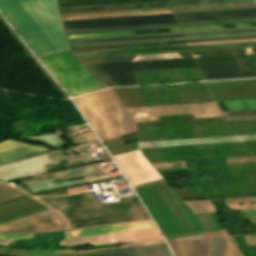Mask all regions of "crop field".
Segmentation results:
<instances>
[{
  "label": "crop field",
  "instance_id": "obj_13",
  "mask_svg": "<svg viewBox=\"0 0 256 256\" xmlns=\"http://www.w3.org/2000/svg\"><path fill=\"white\" fill-rule=\"evenodd\" d=\"M178 21L256 17V8L174 13Z\"/></svg>",
  "mask_w": 256,
  "mask_h": 256
},
{
  "label": "crop field",
  "instance_id": "obj_2",
  "mask_svg": "<svg viewBox=\"0 0 256 256\" xmlns=\"http://www.w3.org/2000/svg\"><path fill=\"white\" fill-rule=\"evenodd\" d=\"M67 219L70 228L150 219L136 196L128 201L97 205L90 192L71 196L38 198Z\"/></svg>",
  "mask_w": 256,
  "mask_h": 256
},
{
  "label": "crop field",
  "instance_id": "obj_29",
  "mask_svg": "<svg viewBox=\"0 0 256 256\" xmlns=\"http://www.w3.org/2000/svg\"><path fill=\"white\" fill-rule=\"evenodd\" d=\"M256 196V192L226 194V198ZM184 201L209 199L207 195L181 197Z\"/></svg>",
  "mask_w": 256,
  "mask_h": 256
},
{
  "label": "crop field",
  "instance_id": "obj_30",
  "mask_svg": "<svg viewBox=\"0 0 256 256\" xmlns=\"http://www.w3.org/2000/svg\"><path fill=\"white\" fill-rule=\"evenodd\" d=\"M171 24H177V22L160 23V24H147V25L103 27V28L73 29V30H66V31H67V32H73V31H87V30H101V29H115V28H129V27H143V26H157V25H171Z\"/></svg>",
  "mask_w": 256,
  "mask_h": 256
},
{
  "label": "crop field",
  "instance_id": "obj_45",
  "mask_svg": "<svg viewBox=\"0 0 256 256\" xmlns=\"http://www.w3.org/2000/svg\"><path fill=\"white\" fill-rule=\"evenodd\" d=\"M250 28H256V27L227 28V29H209V30H191V31H183V32L184 33H191V32L221 31V30L250 29Z\"/></svg>",
  "mask_w": 256,
  "mask_h": 256
},
{
  "label": "crop field",
  "instance_id": "obj_9",
  "mask_svg": "<svg viewBox=\"0 0 256 256\" xmlns=\"http://www.w3.org/2000/svg\"><path fill=\"white\" fill-rule=\"evenodd\" d=\"M98 172L99 171L96 165H88V166L65 171L62 175L51 176L44 180L24 179L22 181L25 184H27L30 187L33 194H35L39 192H44V191H49V190L112 178L107 174L98 175V176H95L93 174ZM76 177H83V179L55 182V180H59V179L76 178Z\"/></svg>",
  "mask_w": 256,
  "mask_h": 256
},
{
  "label": "crop field",
  "instance_id": "obj_8",
  "mask_svg": "<svg viewBox=\"0 0 256 256\" xmlns=\"http://www.w3.org/2000/svg\"><path fill=\"white\" fill-rule=\"evenodd\" d=\"M249 54L195 58L205 80L256 77V62Z\"/></svg>",
  "mask_w": 256,
  "mask_h": 256
},
{
  "label": "crop field",
  "instance_id": "obj_31",
  "mask_svg": "<svg viewBox=\"0 0 256 256\" xmlns=\"http://www.w3.org/2000/svg\"><path fill=\"white\" fill-rule=\"evenodd\" d=\"M244 26H256V23L232 24V25H217V26H203V27H188V28H182V30L209 29V28H226V27H244Z\"/></svg>",
  "mask_w": 256,
  "mask_h": 256
},
{
  "label": "crop field",
  "instance_id": "obj_25",
  "mask_svg": "<svg viewBox=\"0 0 256 256\" xmlns=\"http://www.w3.org/2000/svg\"><path fill=\"white\" fill-rule=\"evenodd\" d=\"M256 4L255 1H248V2H234V3H220V4H206V5H192V6H178L172 7L173 10H180V9H194V8H208V7H222V6H236V5H250Z\"/></svg>",
  "mask_w": 256,
  "mask_h": 256
},
{
  "label": "crop field",
  "instance_id": "obj_38",
  "mask_svg": "<svg viewBox=\"0 0 256 256\" xmlns=\"http://www.w3.org/2000/svg\"><path fill=\"white\" fill-rule=\"evenodd\" d=\"M253 34H256V32H251V33H236V34H222V35H207V36H192V37H186V39L209 38V37H224V36H238V35H253Z\"/></svg>",
  "mask_w": 256,
  "mask_h": 256
},
{
  "label": "crop field",
  "instance_id": "obj_46",
  "mask_svg": "<svg viewBox=\"0 0 256 256\" xmlns=\"http://www.w3.org/2000/svg\"><path fill=\"white\" fill-rule=\"evenodd\" d=\"M224 118H225V120L250 119V118H256V115L231 116V117H224Z\"/></svg>",
  "mask_w": 256,
  "mask_h": 256
},
{
  "label": "crop field",
  "instance_id": "obj_43",
  "mask_svg": "<svg viewBox=\"0 0 256 256\" xmlns=\"http://www.w3.org/2000/svg\"><path fill=\"white\" fill-rule=\"evenodd\" d=\"M251 7H256V5H250V6H236V7H222V8H208V9H194V10H180V11H173V12L199 11V10H216V9H234V8H251Z\"/></svg>",
  "mask_w": 256,
  "mask_h": 256
},
{
  "label": "crop field",
  "instance_id": "obj_7",
  "mask_svg": "<svg viewBox=\"0 0 256 256\" xmlns=\"http://www.w3.org/2000/svg\"><path fill=\"white\" fill-rule=\"evenodd\" d=\"M110 86L137 85L133 71L197 67L193 58L86 65Z\"/></svg>",
  "mask_w": 256,
  "mask_h": 256
},
{
  "label": "crop field",
  "instance_id": "obj_33",
  "mask_svg": "<svg viewBox=\"0 0 256 256\" xmlns=\"http://www.w3.org/2000/svg\"><path fill=\"white\" fill-rule=\"evenodd\" d=\"M186 41H177V42H161V43H145V44H129V45H112V46H96V47H80V48H72L73 50L80 49H94V48H108V47H122V46H137V45H151V44H165V43H179Z\"/></svg>",
  "mask_w": 256,
  "mask_h": 256
},
{
  "label": "crop field",
  "instance_id": "obj_16",
  "mask_svg": "<svg viewBox=\"0 0 256 256\" xmlns=\"http://www.w3.org/2000/svg\"><path fill=\"white\" fill-rule=\"evenodd\" d=\"M185 57H192L191 53L190 52H182V53H166V54L86 58V59H79V60L82 61L84 64H92V63H108V62L154 60V59H169V58H185Z\"/></svg>",
  "mask_w": 256,
  "mask_h": 256
},
{
  "label": "crop field",
  "instance_id": "obj_20",
  "mask_svg": "<svg viewBox=\"0 0 256 256\" xmlns=\"http://www.w3.org/2000/svg\"><path fill=\"white\" fill-rule=\"evenodd\" d=\"M185 40L184 37L71 44L72 47Z\"/></svg>",
  "mask_w": 256,
  "mask_h": 256
},
{
  "label": "crop field",
  "instance_id": "obj_17",
  "mask_svg": "<svg viewBox=\"0 0 256 256\" xmlns=\"http://www.w3.org/2000/svg\"><path fill=\"white\" fill-rule=\"evenodd\" d=\"M169 6L167 1L60 8L61 13Z\"/></svg>",
  "mask_w": 256,
  "mask_h": 256
},
{
  "label": "crop field",
  "instance_id": "obj_42",
  "mask_svg": "<svg viewBox=\"0 0 256 256\" xmlns=\"http://www.w3.org/2000/svg\"><path fill=\"white\" fill-rule=\"evenodd\" d=\"M222 114L223 116L256 114V110L228 111V112H222Z\"/></svg>",
  "mask_w": 256,
  "mask_h": 256
},
{
  "label": "crop field",
  "instance_id": "obj_37",
  "mask_svg": "<svg viewBox=\"0 0 256 256\" xmlns=\"http://www.w3.org/2000/svg\"><path fill=\"white\" fill-rule=\"evenodd\" d=\"M246 22H256V20L231 21V22H216V23H201V24H187V25H180V26H181V27H188V26L217 25V24H232V23H246Z\"/></svg>",
  "mask_w": 256,
  "mask_h": 256
},
{
  "label": "crop field",
  "instance_id": "obj_14",
  "mask_svg": "<svg viewBox=\"0 0 256 256\" xmlns=\"http://www.w3.org/2000/svg\"><path fill=\"white\" fill-rule=\"evenodd\" d=\"M45 151L48 149L41 146L18 143L10 139L4 140L0 142V164Z\"/></svg>",
  "mask_w": 256,
  "mask_h": 256
},
{
  "label": "crop field",
  "instance_id": "obj_23",
  "mask_svg": "<svg viewBox=\"0 0 256 256\" xmlns=\"http://www.w3.org/2000/svg\"><path fill=\"white\" fill-rule=\"evenodd\" d=\"M192 53H193L194 57L214 56V55H228V54H242V53H256V48L199 51V52H192Z\"/></svg>",
  "mask_w": 256,
  "mask_h": 256
},
{
  "label": "crop field",
  "instance_id": "obj_12",
  "mask_svg": "<svg viewBox=\"0 0 256 256\" xmlns=\"http://www.w3.org/2000/svg\"><path fill=\"white\" fill-rule=\"evenodd\" d=\"M176 256H207L211 247L207 234L168 240Z\"/></svg>",
  "mask_w": 256,
  "mask_h": 256
},
{
  "label": "crop field",
  "instance_id": "obj_32",
  "mask_svg": "<svg viewBox=\"0 0 256 256\" xmlns=\"http://www.w3.org/2000/svg\"><path fill=\"white\" fill-rule=\"evenodd\" d=\"M180 48H188L187 46L180 47H166V48H152V49H138V50H123V51H109V52H95V53H81L74 55H83V54H99V53H115V52H132V51H148V50H164V49H180Z\"/></svg>",
  "mask_w": 256,
  "mask_h": 256
},
{
  "label": "crop field",
  "instance_id": "obj_41",
  "mask_svg": "<svg viewBox=\"0 0 256 256\" xmlns=\"http://www.w3.org/2000/svg\"><path fill=\"white\" fill-rule=\"evenodd\" d=\"M243 44H256V42L226 43V44H211V45H196V46H189V47H190V48H197V47H213V46H228V45H243Z\"/></svg>",
  "mask_w": 256,
  "mask_h": 256
},
{
  "label": "crop field",
  "instance_id": "obj_36",
  "mask_svg": "<svg viewBox=\"0 0 256 256\" xmlns=\"http://www.w3.org/2000/svg\"><path fill=\"white\" fill-rule=\"evenodd\" d=\"M172 27H179V26L178 25H172V26H158V27H144V28H130V29H116V30H102V31H88V32H74V33H67V34L108 32V31H124V30H140V29H156V28H172Z\"/></svg>",
  "mask_w": 256,
  "mask_h": 256
},
{
  "label": "crop field",
  "instance_id": "obj_15",
  "mask_svg": "<svg viewBox=\"0 0 256 256\" xmlns=\"http://www.w3.org/2000/svg\"><path fill=\"white\" fill-rule=\"evenodd\" d=\"M166 243L101 251L102 256H172Z\"/></svg>",
  "mask_w": 256,
  "mask_h": 256
},
{
  "label": "crop field",
  "instance_id": "obj_26",
  "mask_svg": "<svg viewBox=\"0 0 256 256\" xmlns=\"http://www.w3.org/2000/svg\"><path fill=\"white\" fill-rule=\"evenodd\" d=\"M206 230L222 229L214 213L198 214Z\"/></svg>",
  "mask_w": 256,
  "mask_h": 256
},
{
  "label": "crop field",
  "instance_id": "obj_28",
  "mask_svg": "<svg viewBox=\"0 0 256 256\" xmlns=\"http://www.w3.org/2000/svg\"><path fill=\"white\" fill-rule=\"evenodd\" d=\"M233 1H247V0H175V1H169V2L171 6H177V5H191V4L233 2Z\"/></svg>",
  "mask_w": 256,
  "mask_h": 256
},
{
  "label": "crop field",
  "instance_id": "obj_6",
  "mask_svg": "<svg viewBox=\"0 0 256 256\" xmlns=\"http://www.w3.org/2000/svg\"><path fill=\"white\" fill-rule=\"evenodd\" d=\"M40 59L70 96L109 87L76 60L70 49L40 57Z\"/></svg>",
  "mask_w": 256,
  "mask_h": 256
},
{
  "label": "crop field",
  "instance_id": "obj_24",
  "mask_svg": "<svg viewBox=\"0 0 256 256\" xmlns=\"http://www.w3.org/2000/svg\"><path fill=\"white\" fill-rule=\"evenodd\" d=\"M26 195L25 193L0 182V203Z\"/></svg>",
  "mask_w": 256,
  "mask_h": 256
},
{
  "label": "crop field",
  "instance_id": "obj_3",
  "mask_svg": "<svg viewBox=\"0 0 256 256\" xmlns=\"http://www.w3.org/2000/svg\"><path fill=\"white\" fill-rule=\"evenodd\" d=\"M134 188L166 239L205 233L197 215L162 179Z\"/></svg>",
  "mask_w": 256,
  "mask_h": 256
},
{
  "label": "crop field",
  "instance_id": "obj_27",
  "mask_svg": "<svg viewBox=\"0 0 256 256\" xmlns=\"http://www.w3.org/2000/svg\"><path fill=\"white\" fill-rule=\"evenodd\" d=\"M213 247L209 253V256H223L226 241L225 237L210 238Z\"/></svg>",
  "mask_w": 256,
  "mask_h": 256
},
{
  "label": "crop field",
  "instance_id": "obj_40",
  "mask_svg": "<svg viewBox=\"0 0 256 256\" xmlns=\"http://www.w3.org/2000/svg\"><path fill=\"white\" fill-rule=\"evenodd\" d=\"M256 35L253 36H238V37H224V38H209V39H194V40H187L188 42H195V41H210V40H225V39H240V38H255Z\"/></svg>",
  "mask_w": 256,
  "mask_h": 256
},
{
  "label": "crop field",
  "instance_id": "obj_18",
  "mask_svg": "<svg viewBox=\"0 0 256 256\" xmlns=\"http://www.w3.org/2000/svg\"><path fill=\"white\" fill-rule=\"evenodd\" d=\"M144 1H160V0H59V5L60 7H67V6H83V5L129 3V2H144Z\"/></svg>",
  "mask_w": 256,
  "mask_h": 256
},
{
  "label": "crop field",
  "instance_id": "obj_10",
  "mask_svg": "<svg viewBox=\"0 0 256 256\" xmlns=\"http://www.w3.org/2000/svg\"><path fill=\"white\" fill-rule=\"evenodd\" d=\"M170 21H176L173 14L70 20V21H63V22L66 29H72V28L142 24V23H156V22H170Z\"/></svg>",
  "mask_w": 256,
  "mask_h": 256
},
{
  "label": "crop field",
  "instance_id": "obj_44",
  "mask_svg": "<svg viewBox=\"0 0 256 256\" xmlns=\"http://www.w3.org/2000/svg\"><path fill=\"white\" fill-rule=\"evenodd\" d=\"M245 19H256V18H239V19H222V20H204V21H186V22H179V24L201 23V22H216V21H230V20H245Z\"/></svg>",
  "mask_w": 256,
  "mask_h": 256
},
{
  "label": "crop field",
  "instance_id": "obj_39",
  "mask_svg": "<svg viewBox=\"0 0 256 256\" xmlns=\"http://www.w3.org/2000/svg\"><path fill=\"white\" fill-rule=\"evenodd\" d=\"M251 31H256V29H250V30H235V31H221V32H206V33H191V34H184V36L207 35V34H222V33H236V32H251Z\"/></svg>",
  "mask_w": 256,
  "mask_h": 256
},
{
  "label": "crop field",
  "instance_id": "obj_35",
  "mask_svg": "<svg viewBox=\"0 0 256 256\" xmlns=\"http://www.w3.org/2000/svg\"><path fill=\"white\" fill-rule=\"evenodd\" d=\"M175 33H182V32L141 34V35H125V36H109V37H93V38H77V39H69V40L70 41H77V40H91V39H105V38H119V37H133V36H147V35H161V34H175Z\"/></svg>",
  "mask_w": 256,
  "mask_h": 256
},
{
  "label": "crop field",
  "instance_id": "obj_21",
  "mask_svg": "<svg viewBox=\"0 0 256 256\" xmlns=\"http://www.w3.org/2000/svg\"><path fill=\"white\" fill-rule=\"evenodd\" d=\"M173 31H181V30H180V28H172V29H156V30H140V31H124V32L76 34V35H68V37H69V38H77V37H93V36H109V35H125V34L173 32Z\"/></svg>",
  "mask_w": 256,
  "mask_h": 256
},
{
  "label": "crop field",
  "instance_id": "obj_11",
  "mask_svg": "<svg viewBox=\"0 0 256 256\" xmlns=\"http://www.w3.org/2000/svg\"><path fill=\"white\" fill-rule=\"evenodd\" d=\"M152 221L97 226L66 232V237L105 234L145 228H153ZM0 238H33V234H0Z\"/></svg>",
  "mask_w": 256,
  "mask_h": 256
},
{
  "label": "crop field",
  "instance_id": "obj_34",
  "mask_svg": "<svg viewBox=\"0 0 256 256\" xmlns=\"http://www.w3.org/2000/svg\"><path fill=\"white\" fill-rule=\"evenodd\" d=\"M175 36H183V35L182 34H175V35H161V36H147V37H133V38H119V39H105V40H91V41H77V42H70V43L111 41V40H127V39H143V38H159V37H175Z\"/></svg>",
  "mask_w": 256,
  "mask_h": 256
},
{
  "label": "crop field",
  "instance_id": "obj_5",
  "mask_svg": "<svg viewBox=\"0 0 256 256\" xmlns=\"http://www.w3.org/2000/svg\"><path fill=\"white\" fill-rule=\"evenodd\" d=\"M50 209L29 196L0 206V225ZM57 214L52 209L0 226V233H43L63 230L46 217Z\"/></svg>",
  "mask_w": 256,
  "mask_h": 256
},
{
  "label": "crop field",
  "instance_id": "obj_1",
  "mask_svg": "<svg viewBox=\"0 0 256 256\" xmlns=\"http://www.w3.org/2000/svg\"><path fill=\"white\" fill-rule=\"evenodd\" d=\"M0 11L37 57L70 48L57 0H0Z\"/></svg>",
  "mask_w": 256,
  "mask_h": 256
},
{
  "label": "crop field",
  "instance_id": "obj_19",
  "mask_svg": "<svg viewBox=\"0 0 256 256\" xmlns=\"http://www.w3.org/2000/svg\"><path fill=\"white\" fill-rule=\"evenodd\" d=\"M229 110L238 109H254L256 108V99H245V100H229L223 101ZM222 101L216 102L220 111L228 110Z\"/></svg>",
  "mask_w": 256,
  "mask_h": 256
},
{
  "label": "crop field",
  "instance_id": "obj_4",
  "mask_svg": "<svg viewBox=\"0 0 256 256\" xmlns=\"http://www.w3.org/2000/svg\"><path fill=\"white\" fill-rule=\"evenodd\" d=\"M73 99L101 139L136 131L134 121L112 89Z\"/></svg>",
  "mask_w": 256,
  "mask_h": 256
},
{
  "label": "crop field",
  "instance_id": "obj_22",
  "mask_svg": "<svg viewBox=\"0 0 256 256\" xmlns=\"http://www.w3.org/2000/svg\"><path fill=\"white\" fill-rule=\"evenodd\" d=\"M171 10L170 7L162 8H146V9H131V10H115V11H99V12H84V13H68L61 14V17L69 16H85V15H101V14H117V13H132V12H148V11H164Z\"/></svg>",
  "mask_w": 256,
  "mask_h": 256
}]
</instances>
